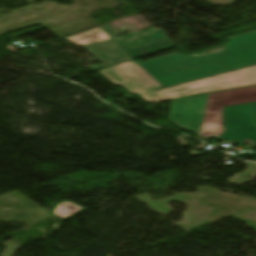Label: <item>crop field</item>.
Masks as SVG:
<instances>
[{
    "mask_svg": "<svg viewBox=\"0 0 256 256\" xmlns=\"http://www.w3.org/2000/svg\"><path fill=\"white\" fill-rule=\"evenodd\" d=\"M256 102V86L174 100L168 121L205 139L223 133V106Z\"/></svg>",
    "mask_w": 256,
    "mask_h": 256,
    "instance_id": "3",
    "label": "crop field"
},
{
    "mask_svg": "<svg viewBox=\"0 0 256 256\" xmlns=\"http://www.w3.org/2000/svg\"><path fill=\"white\" fill-rule=\"evenodd\" d=\"M98 72L111 83L123 86L131 94L137 93L147 102L256 85V65L163 89H160L161 84L133 60Z\"/></svg>",
    "mask_w": 256,
    "mask_h": 256,
    "instance_id": "2",
    "label": "crop field"
},
{
    "mask_svg": "<svg viewBox=\"0 0 256 256\" xmlns=\"http://www.w3.org/2000/svg\"><path fill=\"white\" fill-rule=\"evenodd\" d=\"M103 60L109 59L115 64H119L131 58L117 43L114 41L91 45L90 46ZM114 65V64H113ZM112 66V65H110ZM108 66V67H110ZM88 68L96 71L98 69L104 68L97 65L87 66ZM95 68V69H93Z\"/></svg>",
    "mask_w": 256,
    "mask_h": 256,
    "instance_id": "6",
    "label": "crop field"
},
{
    "mask_svg": "<svg viewBox=\"0 0 256 256\" xmlns=\"http://www.w3.org/2000/svg\"><path fill=\"white\" fill-rule=\"evenodd\" d=\"M204 146H206V144L202 143L197 148L202 149Z\"/></svg>",
    "mask_w": 256,
    "mask_h": 256,
    "instance_id": "12",
    "label": "crop field"
},
{
    "mask_svg": "<svg viewBox=\"0 0 256 256\" xmlns=\"http://www.w3.org/2000/svg\"><path fill=\"white\" fill-rule=\"evenodd\" d=\"M110 39L111 38L106 34V32L101 27H99L71 37L64 38L62 40H67L78 46H82Z\"/></svg>",
    "mask_w": 256,
    "mask_h": 256,
    "instance_id": "7",
    "label": "crop field"
},
{
    "mask_svg": "<svg viewBox=\"0 0 256 256\" xmlns=\"http://www.w3.org/2000/svg\"><path fill=\"white\" fill-rule=\"evenodd\" d=\"M203 152H192L191 155H201Z\"/></svg>",
    "mask_w": 256,
    "mask_h": 256,
    "instance_id": "11",
    "label": "crop field"
},
{
    "mask_svg": "<svg viewBox=\"0 0 256 256\" xmlns=\"http://www.w3.org/2000/svg\"><path fill=\"white\" fill-rule=\"evenodd\" d=\"M254 104L225 108V133L219 139L242 143L245 139L256 144V122Z\"/></svg>",
    "mask_w": 256,
    "mask_h": 256,
    "instance_id": "4",
    "label": "crop field"
},
{
    "mask_svg": "<svg viewBox=\"0 0 256 256\" xmlns=\"http://www.w3.org/2000/svg\"><path fill=\"white\" fill-rule=\"evenodd\" d=\"M106 32L107 34L112 38V39H115L116 37V34H117V31L115 28H113L111 25L107 24V25H104V26H101Z\"/></svg>",
    "mask_w": 256,
    "mask_h": 256,
    "instance_id": "9",
    "label": "crop field"
},
{
    "mask_svg": "<svg viewBox=\"0 0 256 256\" xmlns=\"http://www.w3.org/2000/svg\"><path fill=\"white\" fill-rule=\"evenodd\" d=\"M178 139H179V141L182 143V145L187 144L181 136H180V137H178Z\"/></svg>",
    "mask_w": 256,
    "mask_h": 256,
    "instance_id": "10",
    "label": "crop field"
},
{
    "mask_svg": "<svg viewBox=\"0 0 256 256\" xmlns=\"http://www.w3.org/2000/svg\"><path fill=\"white\" fill-rule=\"evenodd\" d=\"M82 209H83L82 207L72 202H62L57 206V208L53 213L56 216L65 219Z\"/></svg>",
    "mask_w": 256,
    "mask_h": 256,
    "instance_id": "8",
    "label": "crop field"
},
{
    "mask_svg": "<svg viewBox=\"0 0 256 256\" xmlns=\"http://www.w3.org/2000/svg\"><path fill=\"white\" fill-rule=\"evenodd\" d=\"M256 63V31L197 55L177 53L138 63L163 86Z\"/></svg>",
    "mask_w": 256,
    "mask_h": 256,
    "instance_id": "1",
    "label": "crop field"
},
{
    "mask_svg": "<svg viewBox=\"0 0 256 256\" xmlns=\"http://www.w3.org/2000/svg\"><path fill=\"white\" fill-rule=\"evenodd\" d=\"M164 38L163 40H158ZM142 42H139V40ZM131 57L136 58L141 55L156 52L174 44L166 37L162 30L148 34L142 38L136 39L131 43L115 40Z\"/></svg>",
    "mask_w": 256,
    "mask_h": 256,
    "instance_id": "5",
    "label": "crop field"
}]
</instances>
